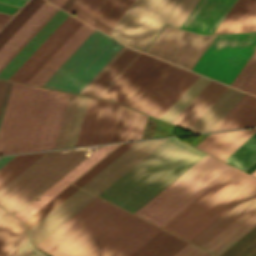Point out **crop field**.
Here are the masks:
<instances>
[{"label":"crop field","mask_w":256,"mask_h":256,"mask_svg":"<svg viewBox=\"0 0 256 256\" xmlns=\"http://www.w3.org/2000/svg\"><path fill=\"white\" fill-rule=\"evenodd\" d=\"M61 151L63 150L47 152L31 166H29L26 170H24L20 175H18L15 179H13L10 183H8L5 187H3L0 190V201L9 193H11L15 188H17L20 184H22L25 180H27L30 176H32L35 172H37L40 168H42L45 164H47L56 155H58Z\"/></svg>","instance_id":"d32e631a"},{"label":"crop field","mask_w":256,"mask_h":256,"mask_svg":"<svg viewBox=\"0 0 256 256\" xmlns=\"http://www.w3.org/2000/svg\"><path fill=\"white\" fill-rule=\"evenodd\" d=\"M58 10L56 8L47 18L46 20L24 41V43L2 64L0 67V71L2 68L18 53V51L35 35V33L51 18V16Z\"/></svg>","instance_id":"9d1cf04e"},{"label":"crop field","mask_w":256,"mask_h":256,"mask_svg":"<svg viewBox=\"0 0 256 256\" xmlns=\"http://www.w3.org/2000/svg\"><path fill=\"white\" fill-rule=\"evenodd\" d=\"M243 90L248 91L256 95V71L243 87Z\"/></svg>","instance_id":"db79e9e6"},{"label":"crop field","mask_w":256,"mask_h":256,"mask_svg":"<svg viewBox=\"0 0 256 256\" xmlns=\"http://www.w3.org/2000/svg\"><path fill=\"white\" fill-rule=\"evenodd\" d=\"M14 156H16V155L0 157V168H1L4 164H6L9 160H11Z\"/></svg>","instance_id":"0f1d7ab4"},{"label":"crop field","mask_w":256,"mask_h":256,"mask_svg":"<svg viewBox=\"0 0 256 256\" xmlns=\"http://www.w3.org/2000/svg\"><path fill=\"white\" fill-rule=\"evenodd\" d=\"M26 235L27 233L24 228L6 256H13L15 254L16 250L18 249V247L20 246V244L22 243Z\"/></svg>","instance_id":"0765c3eb"},{"label":"crop field","mask_w":256,"mask_h":256,"mask_svg":"<svg viewBox=\"0 0 256 256\" xmlns=\"http://www.w3.org/2000/svg\"><path fill=\"white\" fill-rule=\"evenodd\" d=\"M140 54L124 46L79 93L100 97Z\"/></svg>","instance_id":"4a817a6b"},{"label":"crop field","mask_w":256,"mask_h":256,"mask_svg":"<svg viewBox=\"0 0 256 256\" xmlns=\"http://www.w3.org/2000/svg\"><path fill=\"white\" fill-rule=\"evenodd\" d=\"M226 160H228V163L244 171L250 167L256 161V133L226 158Z\"/></svg>","instance_id":"1d83c4d3"},{"label":"crop field","mask_w":256,"mask_h":256,"mask_svg":"<svg viewBox=\"0 0 256 256\" xmlns=\"http://www.w3.org/2000/svg\"><path fill=\"white\" fill-rule=\"evenodd\" d=\"M197 2L198 0H184L167 24L179 27Z\"/></svg>","instance_id":"73cf0c24"},{"label":"crop field","mask_w":256,"mask_h":256,"mask_svg":"<svg viewBox=\"0 0 256 256\" xmlns=\"http://www.w3.org/2000/svg\"><path fill=\"white\" fill-rule=\"evenodd\" d=\"M187 242L161 230L130 256H172Z\"/></svg>","instance_id":"eef30255"},{"label":"crop field","mask_w":256,"mask_h":256,"mask_svg":"<svg viewBox=\"0 0 256 256\" xmlns=\"http://www.w3.org/2000/svg\"><path fill=\"white\" fill-rule=\"evenodd\" d=\"M198 77L199 75L190 72L150 115L159 118Z\"/></svg>","instance_id":"e1f06a70"},{"label":"crop field","mask_w":256,"mask_h":256,"mask_svg":"<svg viewBox=\"0 0 256 256\" xmlns=\"http://www.w3.org/2000/svg\"><path fill=\"white\" fill-rule=\"evenodd\" d=\"M256 30V3L238 25L234 32H246Z\"/></svg>","instance_id":"1f2cbd36"},{"label":"crop field","mask_w":256,"mask_h":256,"mask_svg":"<svg viewBox=\"0 0 256 256\" xmlns=\"http://www.w3.org/2000/svg\"><path fill=\"white\" fill-rule=\"evenodd\" d=\"M44 153L17 155L0 169V189L15 178L19 173L41 157Z\"/></svg>","instance_id":"750c4746"},{"label":"crop field","mask_w":256,"mask_h":256,"mask_svg":"<svg viewBox=\"0 0 256 256\" xmlns=\"http://www.w3.org/2000/svg\"><path fill=\"white\" fill-rule=\"evenodd\" d=\"M215 36L165 26L146 53L191 70Z\"/></svg>","instance_id":"5a996713"},{"label":"crop field","mask_w":256,"mask_h":256,"mask_svg":"<svg viewBox=\"0 0 256 256\" xmlns=\"http://www.w3.org/2000/svg\"><path fill=\"white\" fill-rule=\"evenodd\" d=\"M49 1H51V2H52V0H49Z\"/></svg>","instance_id":"fb207236"},{"label":"crop field","mask_w":256,"mask_h":256,"mask_svg":"<svg viewBox=\"0 0 256 256\" xmlns=\"http://www.w3.org/2000/svg\"><path fill=\"white\" fill-rule=\"evenodd\" d=\"M68 15L69 14L59 9L36 33V35L19 51V53L3 68L0 72V78L8 80Z\"/></svg>","instance_id":"92a150f3"},{"label":"crop field","mask_w":256,"mask_h":256,"mask_svg":"<svg viewBox=\"0 0 256 256\" xmlns=\"http://www.w3.org/2000/svg\"><path fill=\"white\" fill-rule=\"evenodd\" d=\"M117 145L119 144L106 145L98 148L95 152H93L90 156H88L79 165H77L74 169H72L69 173H67L64 177H62L59 181H57L54 185H52L49 189H47L15 216L22 222L26 220L30 215L42 207L46 202L58 194L62 189H64L67 185H69L72 181H74L77 177H79L83 172H85Z\"/></svg>","instance_id":"bc2a9ffb"},{"label":"crop field","mask_w":256,"mask_h":256,"mask_svg":"<svg viewBox=\"0 0 256 256\" xmlns=\"http://www.w3.org/2000/svg\"><path fill=\"white\" fill-rule=\"evenodd\" d=\"M132 109L119 106L115 124L109 142L124 141L127 133L128 125L132 115Z\"/></svg>","instance_id":"03da06ac"},{"label":"crop field","mask_w":256,"mask_h":256,"mask_svg":"<svg viewBox=\"0 0 256 256\" xmlns=\"http://www.w3.org/2000/svg\"><path fill=\"white\" fill-rule=\"evenodd\" d=\"M188 73L170 64L130 108L149 114Z\"/></svg>","instance_id":"733c2abd"},{"label":"crop field","mask_w":256,"mask_h":256,"mask_svg":"<svg viewBox=\"0 0 256 256\" xmlns=\"http://www.w3.org/2000/svg\"><path fill=\"white\" fill-rule=\"evenodd\" d=\"M12 84L13 83H10V82L7 83V87H6V90H5V93H4L2 104H1V107H0V125H1L3 114H4V111H5V108H6V104H7L8 98H9V94H10V91H11Z\"/></svg>","instance_id":"447ae74e"},{"label":"crop field","mask_w":256,"mask_h":256,"mask_svg":"<svg viewBox=\"0 0 256 256\" xmlns=\"http://www.w3.org/2000/svg\"><path fill=\"white\" fill-rule=\"evenodd\" d=\"M214 256V255H213Z\"/></svg>","instance_id":"7312dd0a"},{"label":"crop field","mask_w":256,"mask_h":256,"mask_svg":"<svg viewBox=\"0 0 256 256\" xmlns=\"http://www.w3.org/2000/svg\"><path fill=\"white\" fill-rule=\"evenodd\" d=\"M89 97L80 96L65 147L75 146Z\"/></svg>","instance_id":"d23c7cc5"},{"label":"crop field","mask_w":256,"mask_h":256,"mask_svg":"<svg viewBox=\"0 0 256 256\" xmlns=\"http://www.w3.org/2000/svg\"><path fill=\"white\" fill-rule=\"evenodd\" d=\"M55 8L56 7L45 1L38 7V9L0 48V66Z\"/></svg>","instance_id":"4177f3b9"},{"label":"crop field","mask_w":256,"mask_h":256,"mask_svg":"<svg viewBox=\"0 0 256 256\" xmlns=\"http://www.w3.org/2000/svg\"><path fill=\"white\" fill-rule=\"evenodd\" d=\"M26 1V0H24ZM20 0H0L1 3L21 7L25 2Z\"/></svg>","instance_id":"78b8030e"},{"label":"crop field","mask_w":256,"mask_h":256,"mask_svg":"<svg viewBox=\"0 0 256 256\" xmlns=\"http://www.w3.org/2000/svg\"><path fill=\"white\" fill-rule=\"evenodd\" d=\"M226 88L227 86L211 80L178 117L176 116L172 124L188 129Z\"/></svg>","instance_id":"a9b5d70f"},{"label":"crop field","mask_w":256,"mask_h":256,"mask_svg":"<svg viewBox=\"0 0 256 256\" xmlns=\"http://www.w3.org/2000/svg\"><path fill=\"white\" fill-rule=\"evenodd\" d=\"M132 1L105 0L88 24L109 34Z\"/></svg>","instance_id":"ae1a2a85"},{"label":"crop field","mask_w":256,"mask_h":256,"mask_svg":"<svg viewBox=\"0 0 256 256\" xmlns=\"http://www.w3.org/2000/svg\"><path fill=\"white\" fill-rule=\"evenodd\" d=\"M252 175L256 176V171H254V172L252 173Z\"/></svg>","instance_id":"c3a83c6f"},{"label":"crop field","mask_w":256,"mask_h":256,"mask_svg":"<svg viewBox=\"0 0 256 256\" xmlns=\"http://www.w3.org/2000/svg\"><path fill=\"white\" fill-rule=\"evenodd\" d=\"M65 1L66 0H54L52 3H54L55 5L61 8V6L64 4Z\"/></svg>","instance_id":"c39391a2"},{"label":"crop field","mask_w":256,"mask_h":256,"mask_svg":"<svg viewBox=\"0 0 256 256\" xmlns=\"http://www.w3.org/2000/svg\"><path fill=\"white\" fill-rule=\"evenodd\" d=\"M244 95L245 93L228 87L189 130L210 131Z\"/></svg>","instance_id":"00972430"},{"label":"crop field","mask_w":256,"mask_h":256,"mask_svg":"<svg viewBox=\"0 0 256 256\" xmlns=\"http://www.w3.org/2000/svg\"><path fill=\"white\" fill-rule=\"evenodd\" d=\"M256 132V129L209 134L196 147L224 160Z\"/></svg>","instance_id":"dafd665d"},{"label":"crop field","mask_w":256,"mask_h":256,"mask_svg":"<svg viewBox=\"0 0 256 256\" xmlns=\"http://www.w3.org/2000/svg\"><path fill=\"white\" fill-rule=\"evenodd\" d=\"M4 211H5V210L0 207V217L2 216V214L4 213Z\"/></svg>","instance_id":"c5b07064"},{"label":"crop field","mask_w":256,"mask_h":256,"mask_svg":"<svg viewBox=\"0 0 256 256\" xmlns=\"http://www.w3.org/2000/svg\"><path fill=\"white\" fill-rule=\"evenodd\" d=\"M85 148L86 147L64 150L0 202V204L15 215L87 157V155L82 153Z\"/></svg>","instance_id":"d8731c3e"},{"label":"crop field","mask_w":256,"mask_h":256,"mask_svg":"<svg viewBox=\"0 0 256 256\" xmlns=\"http://www.w3.org/2000/svg\"><path fill=\"white\" fill-rule=\"evenodd\" d=\"M24 225L8 213L0 225V256H5Z\"/></svg>","instance_id":"120bbe31"},{"label":"crop field","mask_w":256,"mask_h":256,"mask_svg":"<svg viewBox=\"0 0 256 256\" xmlns=\"http://www.w3.org/2000/svg\"><path fill=\"white\" fill-rule=\"evenodd\" d=\"M221 256H256V227Z\"/></svg>","instance_id":"c035e120"},{"label":"crop field","mask_w":256,"mask_h":256,"mask_svg":"<svg viewBox=\"0 0 256 256\" xmlns=\"http://www.w3.org/2000/svg\"><path fill=\"white\" fill-rule=\"evenodd\" d=\"M95 197L96 196L80 188L76 190L72 195L28 230L34 245L36 246L39 244L43 239L50 235Z\"/></svg>","instance_id":"cbeb9de0"},{"label":"crop field","mask_w":256,"mask_h":256,"mask_svg":"<svg viewBox=\"0 0 256 256\" xmlns=\"http://www.w3.org/2000/svg\"><path fill=\"white\" fill-rule=\"evenodd\" d=\"M256 0H238L214 33L233 32Z\"/></svg>","instance_id":"5866460e"},{"label":"crop field","mask_w":256,"mask_h":256,"mask_svg":"<svg viewBox=\"0 0 256 256\" xmlns=\"http://www.w3.org/2000/svg\"><path fill=\"white\" fill-rule=\"evenodd\" d=\"M159 230L96 197L36 247L52 256H128Z\"/></svg>","instance_id":"ac0d7876"},{"label":"crop field","mask_w":256,"mask_h":256,"mask_svg":"<svg viewBox=\"0 0 256 256\" xmlns=\"http://www.w3.org/2000/svg\"><path fill=\"white\" fill-rule=\"evenodd\" d=\"M174 256H212V254L189 243Z\"/></svg>","instance_id":"1d79db26"},{"label":"crop field","mask_w":256,"mask_h":256,"mask_svg":"<svg viewBox=\"0 0 256 256\" xmlns=\"http://www.w3.org/2000/svg\"><path fill=\"white\" fill-rule=\"evenodd\" d=\"M0 16L7 17L10 19V15L0 13ZM8 21V19L0 18V28Z\"/></svg>","instance_id":"d14b1444"},{"label":"crop field","mask_w":256,"mask_h":256,"mask_svg":"<svg viewBox=\"0 0 256 256\" xmlns=\"http://www.w3.org/2000/svg\"><path fill=\"white\" fill-rule=\"evenodd\" d=\"M44 0H29L25 6L0 31V47L23 24Z\"/></svg>","instance_id":"028f5c9d"},{"label":"crop field","mask_w":256,"mask_h":256,"mask_svg":"<svg viewBox=\"0 0 256 256\" xmlns=\"http://www.w3.org/2000/svg\"><path fill=\"white\" fill-rule=\"evenodd\" d=\"M7 213H8V212L5 211V213H4L3 216L1 217V219H0V224H1V222L3 221V219L5 218V216L7 215Z\"/></svg>","instance_id":"ade564c9"},{"label":"crop field","mask_w":256,"mask_h":256,"mask_svg":"<svg viewBox=\"0 0 256 256\" xmlns=\"http://www.w3.org/2000/svg\"><path fill=\"white\" fill-rule=\"evenodd\" d=\"M146 115L133 111L130 126L125 141L137 140L141 138L143 127L146 121Z\"/></svg>","instance_id":"425ffa30"},{"label":"crop field","mask_w":256,"mask_h":256,"mask_svg":"<svg viewBox=\"0 0 256 256\" xmlns=\"http://www.w3.org/2000/svg\"><path fill=\"white\" fill-rule=\"evenodd\" d=\"M182 0H134L109 35L144 52Z\"/></svg>","instance_id":"dd49c442"},{"label":"crop field","mask_w":256,"mask_h":256,"mask_svg":"<svg viewBox=\"0 0 256 256\" xmlns=\"http://www.w3.org/2000/svg\"><path fill=\"white\" fill-rule=\"evenodd\" d=\"M165 139L167 138L136 142L81 188L98 195Z\"/></svg>","instance_id":"d1516ede"},{"label":"crop field","mask_w":256,"mask_h":256,"mask_svg":"<svg viewBox=\"0 0 256 256\" xmlns=\"http://www.w3.org/2000/svg\"><path fill=\"white\" fill-rule=\"evenodd\" d=\"M104 0H76L68 12L87 22L91 19Z\"/></svg>","instance_id":"5d738f31"},{"label":"crop field","mask_w":256,"mask_h":256,"mask_svg":"<svg viewBox=\"0 0 256 256\" xmlns=\"http://www.w3.org/2000/svg\"><path fill=\"white\" fill-rule=\"evenodd\" d=\"M210 79L200 76L180 98L160 117L171 123L190 101L204 88Z\"/></svg>","instance_id":"bd1437ed"},{"label":"crop field","mask_w":256,"mask_h":256,"mask_svg":"<svg viewBox=\"0 0 256 256\" xmlns=\"http://www.w3.org/2000/svg\"><path fill=\"white\" fill-rule=\"evenodd\" d=\"M237 0H199L180 28L200 34L213 33Z\"/></svg>","instance_id":"5142ce71"},{"label":"crop field","mask_w":256,"mask_h":256,"mask_svg":"<svg viewBox=\"0 0 256 256\" xmlns=\"http://www.w3.org/2000/svg\"><path fill=\"white\" fill-rule=\"evenodd\" d=\"M256 201V188H254L250 193L238 201L234 206L217 218L213 223L201 231L197 236H195L190 242H193L199 246L204 244L213 235L225 227L229 222L246 210L250 205Z\"/></svg>","instance_id":"730fd06b"},{"label":"crop field","mask_w":256,"mask_h":256,"mask_svg":"<svg viewBox=\"0 0 256 256\" xmlns=\"http://www.w3.org/2000/svg\"><path fill=\"white\" fill-rule=\"evenodd\" d=\"M251 97L252 95L246 94L211 131L221 130Z\"/></svg>","instance_id":"dbb93151"},{"label":"crop field","mask_w":256,"mask_h":256,"mask_svg":"<svg viewBox=\"0 0 256 256\" xmlns=\"http://www.w3.org/2000/svg\"><path fill=\"white\" fill-rule=\"evenodd\" d=\"M208 157H202L134 214L141 213ZM233 168L211 156L139 216L161 227ZM254 187L255 178L234 168L162 228L189 241Z\"/></svg>","instance_id":"8a807250"},{"label":"crop field","mask_w":256,"mask_h":256,"mask_svg":"<svg viewBox=\"0 0 256 256\" xmlns=\"http://www.w3.org/2000/svg\"><path fill=\"white\" fill-rule=\"evenodd\" d=\"M123 46L95 29L42 86L78 93Z\"/></svg>","instance_id":"f4fd0767"},{"label":"crop field","mask_w":256,"mask_h":256,"mask_svg":"<svg viewBox=\"0 0 256 256\" xmlns=\"http://www.w3.org/2000/svg\"><path fill=\"white\" fill-rule=\"evenodd\" d=\"M6 83L7 82L0 80V104H1L3 93H4V90H5V87H6Z\"/></svg>","instance_id":"e1d0b9f6"},{"label":"crop field","mask_w":256,"mask_h":256,"mask_svg":"<svg viewBox=\"0 0 256 256\" xmlns=\"http://www.w3.org/2000/svg\"><path fill=\"white\" fill-rule=\"evenodd\" d=\"M118 106L90 97L76 146L108 142Z\"/></svg>","instance_id":"28ad6ade"},{"label":"crop field","mask_w":256,"mask_h":256,"mask_svg":"<svg viewBox=\"0 0 256 256\" xmlns=\"http://www.w3.org/2000/svg\"><path fill=\"white\" fill-rule=\"evenodd\" d=\"M175 139L165 140L98 196L132 213L137 211L205 155Z\"/></svg>","instance_id":"34b2d1b8"},{"label":"crop field","mask_w":256,"mask_h":256,"mask_svg":"<svg viewBox=\"0 0 256 256\" xmlns=\"http://www.w3.org/2000/svg\"><path fill=\"white\" fill-rule=\"evenodd\" d=\"M256 126V97L253 96L246 105L222 129Z\"/></svg>","instance_id":"0bd39190"},{"label":"crop field","mask_w":256,"mask_h":256,"mask_svg":"<svg viewBox=\"0 0 256 256\" xmlns=\"http://www.w3.org/2000/svg\"><path fill=\"white\" fill-rule=\"evenodd\" d=\"M93 30L83 23L27 83L41 86Z\"/></svg>","instance_id":"214f88e0"},{"label":"crop field","mask_w":256,"mask_h":256,"mask_svg":"<svg viewBox=\"0 0 256 256\" xmlns=\"http://www.w3.org/2000/svg\"><path fill=\"white\" fill-rule=\"evenodd\" d=\"M256 216V202L201 247L213 251Z\"/></svg>","instance_id":"d3111659"},{"label":"crop field","mask_w":256,"mask_h":256,"mask_svg":"<svg viewBox=\"0 0 256 256\" xmlns=\"http://www.w3.org/2000/svg\"><path fill=\"white\" fill-rule=\"evenodd\" d=\"M255 70L256 51L246 63V65L243 67V69L240 71V73L237 75V77L234 79V81L231 83V86L242 89V87L245 85V83L248 81V79L251 77Z\"/></svg>","instance_id":"25e5ab78"},{"label":"crop field","mask_w":256,"mask_h":256,"mask_svg":"<svg viewBox=\"0 0 256 256\" xmlns=\"http://www.w3.org/2000/svg\"><path fill=\"white\" fill-rule=\"evenodd\" d=\"M82 23L69 15L9 80L26 83Z\"/></svg>","instance_id":"22f410ed"},{"label":"crop field","mask_w":256,"mask_h":256,"mask_svg":"<svg viewBox=\"0 0 256 256\" xmlns=\"http://www.w3.org/2000/svg\"><path fill=\"white\" fill-rule=\"evenodd\" d=\"M256 226V217L250 221L247 225H245L242 229H240L236 234H234L231 238H229L226 242H224L220 247H218L213 253L217 255H221L228 248H230L233 244H235L239 239H241L244 235H246L249 231H251Z\"/></svg>","instance_id":"89e229c0"},{"label":"crop field","mask_w":256,"mask_h":256,"mask_svg":"<svg viewBox=\"0 0 256 256\" xmlns=\"http://www.w3.org/2000/svg\"><path fill=\"white\" fill-rule=\"evenodd\" d=\"M78 97L79 96H77V95H73V94L70 95L69 102H68V105H67V108H66V112H65V115H64V118H63V122H62V125H61V128H60L59 135H58V138H57L56 145H55L54 149L62 148L65 145L66 138H67L69 128H70V125H71V121H72L74 111H75V108H76V104H77V101H78Z\"/></svg>","instance_id":"b54c1fbb"},{"label":"crop field","mask_w":256,"mask_h":256,"mask_svg":"<svg viewBox=\"0 0 256 256\" xmlns=\"http://www.w3.org/2000/svg\"><path fill=\"white\" fill-rule=\"evenodd\" d=\"M256 50V33L217 35L192 71L230 85Z\"/></svg>","instance_id":"e52e79f7"},{"label":"crop field","mask_w":256,"mask_h":256,"mask_svg":"<svg viewBox=\"0 0 256 256\" xmlns=\"http://www.w3.org/2000/svg\"><path fill=\"white\" fill-rule=\"evenodd\" d=\"M168 65L142 53L101 98L129 107Z\"/></svg>","instance_id":"3316defc"},{"label":"crop field","mask_w":256,"mask_h":256,"mask_svg":"<svg viewBox=\"0 0 256 256\" xmlns=\"http://www.w3.org/2000/svg\"><path fill=\"white\" fill-rule=\"evenodd\" d=\"M69 95L68 93L50 91L32 151L54 148Z\"/></svg>","instance_id":"d9b57169"},{"label":"crop field","mask_w":256,"mask_h":256,"mask_svg":"<svg viewBox=\"0 0 256 256\" xmlns=\"http://www.w3.org/2000/svg\"><path fill=\"white\" fill-rule=\"evenodd\" d=\"M133 143L135 142L122 143L73 183L80 187L91 177H93L97 172H99L102 168H104L107 164H109L112 160H114L117 156H119L123 151L130 147Z\"/></svg>","instance_id":"c21b1889"},{"label":"crop field","mask_w":256,"mask_h":256,"mask_svg":"<svg viewBox=\"0 0 256 256\" xmlns=\"http://www.w3.org/2000/svg\"><path fill=\"white\" fill-rule=\"evenodd\" d=\"M78 187L70 184L53 199H51L47 204L35 212L31 217L24 221L27 229L31 228L35 223H37L41 218H43L47 213H49L53 208L60 204L64 199H66L70 194H72Z\"/></svg>","instance_id":"b80d0937"},{"label":"crop field","mask_w":256,"mask_h":256,"mask_svg":"<svg viewBox=\"0 0 256 256\" xmlns=\"http://www.w3.org/2000/svg\"><path fill=\"white\" fill-rule=\"evenodd\" d=\"M49 91L13 84L0 128V155L32 150Z\"/></svg>","instance_id":"412701ff"},{"label":"crop field","mask_w":256,"mask_h":256,"mask_svg":"<svg viewBox=\"0 0 256 256\" xmlns=\"http://www.w3.org/2000/svg\"><path fill=\"white\" fill-rule=\"evenodd\" d=\"M75 0H67L65 4L62 6V9L68 11L71 5L74 3Z\"/></svg>","instance_id":"ae633e8c"},{"label":"crop field","mask_w":256,"mask_h":256,"mask_svg":"<svg viewBox=\"0 0 256 256\" xmlns=\"http://www.w3.org/2000/svg\"><path fill=\"white\" fill-rule=\"evenodd\" d=\"M16 9H17L16 7H12V6H8V5L0 4V11H1V12H5V13L12 14ZM18 9H19V8H18ZM18 9H17V10H18ZM17 10H16V11H17ZM16 11H15V12H16ZM15 12H14V13H15ZM14 13H13V14H14ZM13 14H12V15H13Z\"/></svg>","instance_id":"7b73153f"},{"label":"crop field","mask_w":256,"mask_h":256,"mask_svg":"<svg viewBox=\"0 0 256 256\" xmlns=\"http://www.w3.org/2000/svg\"><path fill=\"white\" fill-rule=\"evenodd\" d=\"M14 256H47L40 250L33 247L28 235L17 250Z\"/></svg>","instance_id":"0fb4a251"}]
</instances>
